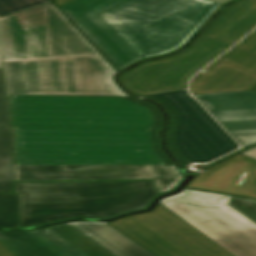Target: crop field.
<instances>
[{
	"instance_id": "obj_27",
	"label": "crop field",
	"mask_w": 256,
	"mask_h": 256,
	"mask_svg": "<svg viewBox=\"0 0 256 256\" xmlns=\"http://www.w3.org/2000/svg\"><path fill=\"white\" fill-rule=\"evenodd\" d=\"M58 7L72 1V0H52Z\"/></svg>"
},
{
	"instance_id": "obj_2",
	"label": "crop field",
	"mask_w": 256,
	"mask_h": 256,
	"mask_svg": "<svg viewBox=\"0 0 256 256\" xmlns=\"http://www.w3.org/2000/svg\"><path fill=\"white\" fill-rule=\"evenodd\" d=\"M19 227L76 217L108 219L150 207L160 193L154 182L17 183Z\"/></svg>"
},
{
	"instance_id": "obj_13",
	"label": "crop field",
	"mask_w": 256,
	"mask_h": 256,
	"mask_svg": "<svg viewBox=\"0 0 256 256\" xmlns=\"http://www.w3.org/2000/svg\"><path fill=\"white\" fill-rule=\"evenodd\" d=\"M187 187L256 198V161L238 155L206 170Z\"/></svg>"
},
{
	"instance_id": "obj_8",
	"label": "crop field",
	"mask_w": 256,
	"mask_h": 256,
	"mask_svg": "<svg viewBox=\"0 0 256 256\" xmlns=\"http://www.w3.org/2000/svg\"><path fill=\"white\" fill-rule=\"evenodd\" d=\"M230 198L185 189L160 203L236 256H256V226L227 207Z\"/></svg>"
},
{
	"instance_id": "obj_24",
	"label": "crop field",
	"mask_w": 256,
	"mask_h": 256,
	"mask_svg": "<svg viewBox=\"0 0 256 256\" xmlns=\"http://www.w3.org/2000/svg\"><path fill=\"white\" fill-rule=\"evenodd\" d=\"M228 207L256 225V201L232 197Z\"/></svg>"
},
{
	"instance_id": "obj_4",
	"label": "crop field",
	"mask_w": 256,
	"mask_h": 256,
	"mask_svg": "<svg viewBox=\"0 0 256 256\" xmlns=\"http://www.w3.org/2000/svg\"><path fill=\"white\" fill-rule=\"evenodd\" d=\"M221 6L206 0H131L100 16L147 59L181 48Z\"/></svg>"
},
{
	"instance_id": "obj_11",
	"label": "crop field",
	"mask_w": 256,
	"mask_h": 256,
	"mask_svg": "<svg viewBox=\"0 0 256 256\" xmlns=\"http://www.w3.org/2000/svg\"><path fill=\"white\" fill-rule=\"evenodd\" d=\"M129 0H74L60 9L120 69L141 60L98 15Z\"/></svg>"
},
{
	"instance_id": "obj_23",
	"label": "crop field",
	"mask_w": 256,
	"mask_h": 256,
	"mask_svg": "<svg viewBox=\"0 0 256 256\" xmlns=\"http://www.w3.org/2000/svg\"><path fill=\"white\" fill-rule=\"evenodd\" d=\"M50 3L49 0H0V16Z\"/></svg>"
},
{
	"instance_id": "obj_29",
	"label": "crop field",
	"mask_w": 256,
	"mask_h": 256,
	"mask_svg": "<svg viewBox=\"0 0 256 256\" xmlns=\"http://www.w3.org/2000/svg\"><path fill=\"white\" fill-rule=\"evenodd\" d=\"M0 68H2V64H1V54H0Z\"/></svg>"
},
{
	"instance_id": "obj_14",
	"label": "crop field",
	"mask_w": 256,
	"mask_h": 256,
	"mask_svg": "<svg viewBox=\"0 0 256 256\" xmlns=\"http://www.w3.org/2000/svg\"><path fill=\"white\" fill-rule=\"evenodd\" d=\"M191 81L194 95L251 90L256 74L216 60Z\"/></svg>"
},
{
	"instance_id": "obj_21",
	"label": "crop field",
	"mask_w": 256,
	"mask_h": 256,
	"mask_svg": "<svg viewBox=\"0 0 256 256\" xmlns=\"http://www.w3.org/2000/svg\"><path fill=\"white\" fill-rule=\"evenodd\" d=\"M19 195H0V226L17 228Z\"/></svg>"
},
{
	"instance_id": "obj_5",
	"label": "crop field",
	"mask_w": 256,
	"mask_h": 256,
	"mask_svg": "<svg viewBox=\"0 0 256 256\" xmlns=\"http://www.w3.org/2000/svg\"><path fill=\"white\" fill-rule=\"evenodd\" d=\"M5 61L99 53L52 5L0 18Z\"/></svg>"
},
{
	"instance_id": "obj_12",
	"label": "crop field",
	"mask_w": 256,
	"mask_h": 256,
	"mask_svg": "<svg viewBox=\"0 0 256 256\" xmlns=\"http://www.w3.org/2000/svg\"><path fill=\"white\" fill-rule=\"evenodd\" d=\"M196 97L244 147L256 143V93L245 91Z\"/></svg>"
},
{
	"instance_id": "obj_3",
	"label": "crop field",
	"mask_w": 256,
	"mask_h": 256,
	"mask_svg": "<svg viewBox=\"0 0 256 256\" xmlns=\"http://www.w3.org/2000/svg\"><path fill=\"white\" fill-rule=\"evenodd\" d=\"M256 27V0H240L184 51L142 63L122 75L126 88L138 95L187 89L188 79Z\"/></svg>"
},
{
	"instance_id": "obj_7",
	"label": "crop field",
	"mask_w": 256,
	"mask_h": 256,
	"mask_svg": "<svg viewBox=\"0 0 256 256\" xmlns=\"http://www.w3.org/2000/svg\"><path fill=\"white\" fill-rule=\"evenodd\" d=\"M24 60L28 95L130 96L114 82L118 73L101 55Z\"/></svg>"
},
{
	"instance_id": "obj_10",
	"label": "crop field",
	"mask_w": 256,
	"mask_h": 256,
	"mask_svg": "<svg viewBox=\"0 0 256 256\" xmlns=\"http://www.w3.org/2000/svg\"><path fill=\"white\" fill-rule=\"evenodd\" d=\"M183 178L176 166H15V181L155 179L161 194Z\"/></svg>"
},
{
	"instance_id": "obj_19",
	"label": "crop field",
	"mask_w": 256,
	"mask_h": 256,
	"mask_svg": "<svg viewBox=\"0 0 256 256\" xmlns=\"http://www.w3.org/2000/svg\"><path fill=\"white\" fill-rule=\"evenodd\" d=\"M52 230L74 244L89 256H113L89 238L75 230L68 224L51 227Z\"/></svg>"
},
{
	"instance_id": "obj_1",
	"label": "crop field",
	"mask_w": 256,
	"mask_h": 256,
	"mask_svg": "<svg viewBox=\"0 0 256 256\" xmlns=\"http://www.w3.org/2000/svg\"><path fill=\"white\" fill-rule=\"evenodd\" d=\"M18 165H174L164 116L137 98L10 96Z\"/></svg>"
},
{
	"instance_id": "obj_22",
	"label": "crop field",
	"mask_w": 256,
	"mask_h": 256,
	"mask_svg": "<svg viewBox=\"0 0 256 256\" xmlns=\"http://www.w3.org/2000/svg\"><path fill=\"white\" fill-rule=\"evenodd\" d=\"M9 95H27L23 61L5 62Z\"/></svg>"
},
{
	"instance_id": "obj_6",
	"label": "crop field",
	"mask_w": 256,
	"mask_h": 256,
	"mask_svg": "<svg viewBox=\"0 0 256 256\" xmlns=\"http://www.w3.org/2000/svg\"><path fill=\"white\" fill-rule=\"evenodd\" d=\"M159 102L169 114L167 149L184 170L192 162L206 163L238 149V145L188 96L187 90L143 96Z\"/></svg>"
},
{
	"instance_id": "obj_25",
	"label": "crop field",
	"mask_w": 256,
	"mask_h": 256,
	"mask_svg": "<svg viewBox=\"0 0 256 256\" xmlns=\"http://www.w3.org/2000/svg\"><path fill=\"white\" fill-rule=\"evenodd\" d=\"M0 256H15L0 242Z\"/></svg>"
},
{
	"instance_id": "obj_17",
	"label": "crop field",
	"mask_w": 256,
	"mask_h": 256,
	"mask_svg": "<svg viewBox=\"0 0 256 256\" xmlns=\"http://www.w3.org/2000/svg\"><path fill=\"white\" fill-rule=\"evenodd\" d=\"M0 241L16 256H61L30 231H0Z\"/></svg>"
},
{
	"instance_id": "obj_30",
	"label": "crop field",
	"mask_w": 256,
	"mask_h": 256,
	"mask_svg": "<svg viewBox=\"0 0 256 256\" xmlns=\"http://www.w3.org/2000/svg\"><path fill=\"white\" fill-rule=\"evenodd\" d=\"M252 91L256 92V87L252 89Z\"/></svg>"
},
{
	"instance_id": "obj_28",
	"label": "crop field",
	"mask_w": 256,
	"mask_h": 256,
	"mask_svg": "<svg viewBox=\"0 0 256 256\" xmlns=\"http://www.w3.org/2000/svg\"><path fill=\"white\" fill-rule=\"evenodd\" d=\"M209 1H212V2L224 5V4L228 3V2H230L231 0H209Z\"/></svg>"
},
{
	"instance_id": "obj_9",
	"label": "crop field",
	"mask_w": 256,
	"mask_h": 256,
	"mask_svg": "<svg viewBox=\"0 0 256 256\" xmlns=\"http://www.w3.org/2000/svg\"><path fill=\"white\" fill-rule=\"evenodd\" d=\"M185 222L158 203L153 212L108 224L155 256H234Z\"/></svg>"
},
{
	"instance_id": "obj_15",
	"label": "crop field",
	"mask_w": 256,
	"mask_h": 256,
	"mask_svg": "<svg viewBox=\"0 0 256 256\" xmlns=\"http://www.w3.org/2000/svg\"><path fill=\"white\" fill-rule=\"evenodd\" d=\"M69 224L115 256H153L106 223L72 222Z\"/></svg>"
},
{
	"instance_id": "obj_16",
	"label": "crop field",
	"mask_w": 256,
	"mask_h": 256,
	"mask_svg": "<svg viewBox=\"0 0 256 256\" xmlns=\"http://www.w3.org/2000/svg\"><path fill=\"white\" fill-rule=\"evenodd\" d=\"M8 125L6 94L0 69V192H11L14 181L12 135Z\"/></svg>"
},
{
	"instance_id": "obj_26",
	"label": "crop field",
	"mask_w": 256,
	"mask_h": 256,
	"mask_svg": "<svg viewBox=\"0 0 256 256\" xmlns=\"http://www.w3.org/2000/svg\"><path fill=\"white\" fill-rule=\"evenodd\" d=\"M241 154L246 155L248 157H251L253 159H256V148L247 150V151H245V152H243Z\"/></svg>"
},
{
	"instance_id": "obj_18",
	"label": "crop field",
	"mask_w": 256,
	"mask_h": 256,
	"mask_svg": "<svg viewBox=\"0 0 256 256\" xmlns=\"http://www.w3.org/2000/svg\"><path fill=\"white\" fill-rule=\"evenodd\" d=\"M220 60L256 73V31L228 51Z\"/></svg>"
},
{
	"instance_id": "obj_20",
	"label": "crop field",
	"mask_w": 256,
	"mask_h": 256,
	"mask_svg": "<svg viewBox=\"0 0 256 256\" xmlns=\"http://www.w3.org/2000/svg\"><path fill=\"white\" fill-rule=\"evenodd\" d=\"M62 256H88L49 228L31 231Z\"/></svg>"
}]
</instances>
